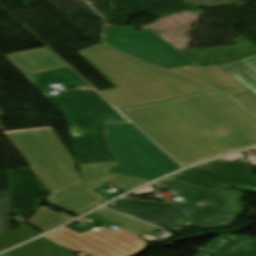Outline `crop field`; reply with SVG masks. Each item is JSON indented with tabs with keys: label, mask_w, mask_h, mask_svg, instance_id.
I'll list each match as a JSON object with an SVG mask.
<instances>
[{
	"label": "crop field",
	"mask_w": 256,
	"mask_h": 256,
	"mask_svg": "<svg viewBox=\"0 0 256 256\" xmlns=\"http://www.w3.org/2000/svg\"><path fill=\"white\" fill-rule=\"evenodd\" d=\"M5 133L54 193L81 184L74 161L51 127Z\"/></svg>",
	"instance_id": "obj_4"
},
{
	"label": "crop field",
	"mask_w": 256,
	"mask_h": 256,
	"mask_svg": "<svg viewBox=\"0 0 256 256\" xmlns=\"http://www.w3.org/2000/svg\"><path fill=\"white\" fill-rule=\"evenodd\" d=\"M12 229L8 192L0 193V233ZM1 251V249H0Z\"/></svg>",
	"instance_id": "obj_22"
},
{
	"label": "crop field",
	"mask_w": 256,
	"mask_h": 256,
	"mask_svg": "<svg viewBox=\"0 0 256 256\" xmlns=\"http://www.w3.org/2000/svg\"><path fill=\"white\" fill-rule=\"evenodd\" d=\"M171 70L179 75L188 79L207 85L217 91L234 96L248 89L240 82L230 77L216 64L206 67H184V68H171Z\"/></svg>",
	"instance_id": "obj_12"
},
{
	"label": "crop field",
	"mask_w": 256,
	"mask_h": 256,
	"mask_svg": "<svg viewBox=\"0 0 256 256\" xmlns=\"http://www.w3.org/2000/svg\"><path fill=\"white\" fill-rule=\"evenodd\" d=\"M4 57L24 76L67 66L47 48L5 55Z\"/></svg>",
	"instance_id": "obj_13"
},
{
	"label": "crop field",
	"mask_w": 256,
	"mask_h": 256,
	"mask_svg": "<svg viewBox=\"0 0 256 256\" xmlns=\"http://www.w3.org/2000/svg\"><path fill=\"white\" fill-rule=\"evenodd\" d=\"M47 236L75 253L85 251L93 256H130L147 245L123 229L111 232L104 227L82 234L64 227Z\"/></svg>",
	"instance_id": "obj_9"
},
{
	"label": "crop field",
	"mask_w": 256,
	"mask_h": 256,
	"mask_svg": "<svg viewBox=\"0 0 256 256\" xmlns=\"http://www.w3.org/2000/svg\"><path fill=\"white\" fill-rule=\"evenodd\" d=\"M107 144L121 165L110 170L153 180L181 167L131 123L105 126Z\"/></svg>",
	"instance_id": "obj_5"
},
{
	"label": "crop field",
	"mask_w": 256,
	"mask_h": 256,
	"mask_svg": "<svg viewBox=\"0 0 256 256\" xmlns=\"http://www.w3.org/2000/svg\"><path fill=\"white\" fill-rule=\"evenodd\" d=\"M233 99L239 103L247 112L256 117V95L251 91L243 92Z\"/></svg>",
	"instance_id": "obj_23"
},
{
	"label": "crop field",
	"mask_w": 256,
	"mask_h": 256,
	"mask_svg": "<svg viewBox=\"0 0 256 256\" xmlns=\"http://www.w3.org/2000/svg\"><path fill=\"white\" fill-rule=\"evenodd\" d=\"M153 191H152V189H151V187H150V185L149 186H147V187H145V188H143V189H140V190H138V191H136V192H133V193H131V194H139V193H152Z\"/></svg>",
	"instance_id": "obj_25"
},
{
	"label": "crop field",
	"mask_w": 256,
	"mask_h": 256,
	"mask_svg": "<svg viewBox=\"0 0 256 256\" xmlns=\"http://www.w3.org/2000/svg\"><path fill=\"white\" fill-rule=\"evenodd\" d=\"M123 66L141 82L167 100L208 90L203 86L174 76L136 59L124 63Z\"/></svg>",
	"instance_id": "obj_10"
},
{
	"label": "crop field",
	"mask_w": 256,
	"mask_h": 256,
	"mask_svg": "<svg viewBox=\"0 0 256 256\" xmlns=\"http://www.w3.org/2000/svg\"><path fill=\"white\" fill-rule=\"evenodd\" d=\"M105 42L162 68L197 66L147 26L143 27V32H136L133 27L107 26Z\"/></svg>",
	"instance_id": "obj_8"
},
{
	"label": "crop field",
	"mask_w": 256,
	"mask_h": 256,
	"mask_svg": "<svg viewBox=\"0 0 256 256\" xmlns=\"http://www.w3.org/2000/svg\"><path fill=\"white\" fill-rule=\"evenodd\" d=\"M120 111L183 166L256 144V119L213 91Z\"/></svg>",
	"instance_id": "obj_1"
},
{
	"label": "crop field",
	"mask_w": 256,
	"mask_h": 256,
	"mask_svg": "<svg viewBox=\"0 0 256 256\" xmlns=\"http://www.w3.org/2000/svg\"><path fill=\"white\" fill-rule=\"evenodd\" d=\"M95 213L138 236L161 230L105 208Z\"/></svg>",
	"instance_id": "obj_18"
},
{
	"label": "crop field",
	"mask_w": 256,
	"mask_h": 256,
	"mask_svg": "<svg viewBox=\"0 0 256 256\" xmlns=\"http://www.w3.org/2000/svg\"><path fill=\"white\" fill-rule=\"evenodd\" d=\"M38 235L40 234L29 226H22L20 228L0 234V248L2 250H6Z\"/></svg>",
	"instance_id": "obj_20"
},
{
	"label": "crop field",
	"mask_w": 256,
	"mask_h": 256,
	"mask_svg": "<svg viewBox=\"0 0 256 256\" xmlns=\"http://www.w3.org/2000/svg\"><path fill=\"white\" fill-rule=\"evenodd\" d=\"M221 68L256 94V55Z\"/></svg>",
	"instance_id": "obj_16"
},
{
	"label": "crop field",
	"mask_w": 256,
	"mask_h": 256,
	"mask_svg": "<svg viewBox=\"0 0 256 256\" xmlns=\"http://www.w3.org/2000/svg\"><path fill=\"white\" fill-rule=\"evenodd\" d=\"M171 177L177 178L179 180L191 183L193 185L209 188V189H228L230 186L219 183L217 181L208 179L206 177L200 176L198 174L192 173L190 171L184 170L178 174H175Z\"/></svg>",
	"instance_id": "obj_21"
},
{
	"label": "crop field",
	"mask_w": 256,
	"mask_h": 256,
	"mask_svg": "<svg viewBox=\"0 0 256 256\" xmlns=\"http://www.w3.org/2000/svg\"><path fill=\"white\" fill-rule=\"evenodd\" d=\"M154 185L158 192L168 188L174 196L180 197L181 201L190 203L166 204L121 198L113 203L165 209L116 204L106 207L174 233L183 229V221L179 214L166 208L180 212L185 218V226L199 228H218L232 224L242 209L238 202L244 193L203 190L170 177Z\"/></svg>",
	"instance_id": "obj_2"
},
{
	"label": "crop field",
	"mask_w": 256,
	"mask_h": 256,
	"mask_svg": "<svg viewBox=\"0 0 256 256\" xmlns=\"http://www.w3.org/2000/svg\"><path fill=\"white\" fill-rule=\"evenodd\" d=\"M227 185H234L256 191L254 169L223 159L187 169Z\"/></svg>",
	"instance_id": "obj_11"
},
{
	"label": "crop field",
	"mask_w": 256,
	"mask_h": 256,
	"mask_svg": "<svg viewBox=\"0 0 256 256\" xmlns=\"http://www.w3.org/2000/svg\"><path fill=\"white\" fill-rule=\"evenodd\" d=\"M71 219L60 215L54 211H51L43 206L36 210L32 217L29 219V223L36 227L41 232L45 233L55 227H58Z\"/></svg>",
	"instance_id": "obj_19"
},
{
	"label": "crop field",
	"mask_w": 256,
	"mask_h": 256,
	"mask_svg": "<svg viewBox=\"0 0 256 256\" xmlns=\"http://www.w3.org/2000/svg\"><path fill=\"white\" fill-rule=\"evenodd\" d=\"M118 161L78 165L83 185L55 194L47 204L75 215H81L109 200L92 190L110 182L126 191L149 182L140 178L108 172Z\"/></svg>",
	"instance_id": "obj_7"
},
{
	"label": "crop field",
	"mask_w": 256,
	"mask_h": 256,
	"mask_svg": "<svg viewBox=\"0 0 256 256\" xmlns=\"http://www.w3.org/2000/svg\"><path fill=\"white\" fill-rule=\"evenodd\" d=\"M96 93L79 90L47 97L67 118L78 164L116 160L106 145L104 125L129 122Z\"/></svg>",
	"instance_id": "obj_3"
},
{
	"label": "crop field",
	"mask_w": 256,
	"mask_h": 256,
	"mask_svg": "<svg viewBox=\"0 0 256 256\" xmlns=\"http://www.w3.org/2000/svg\"><path fill=\"white\" fill-rule=\"evenodd\" d=\"M88 217H90V218H92V219H94V220H96V221H98V222H100V223H102V224H104L106 226L114 224V223H112V222H110V221H108V220H106V219H104V218L94 214V213L89 215Z\"/></svg>",
	"instance_id": "obj_24"
},
{
	"label": "crop field",
	"mask_w": 256,
	"mask_h": 256,
	"mask_svg": "<svg viewBox=\"0 0 256 256\" xmlns=\"http://www.w3.org/2000/svg\"><path fill=\"white\" fill-rule=\"evenodd\" d=\"M26 78L40 91L50 90L46 85L49 83H61L64 89H70L71 86L75 85L80 88H91L69 67L27 76Z\"/></svg>",
	"instance_id": "obj_15"
},
{
	"label": "crop field",
	"mask_w": 256,
	"mask_h": 256,
	"mask_svg": "<svg viewBox=\"0 0 256 256\" xmlns=\"http://www.w3.org/2000/svg\"><path fill=\"white\" fill-rule=\"evenodd\" d=\"M89 61L117 89L101 93L117 108L165 101L141 83L121 64L132 59L103 44L77 52Z\"/></svg>",
	"instance_id": "obj_6"
},
{
	"label": "crop field",
	"mask_w": 256,
	"mask_h": 256,
	"mask_svg": "<svg viewBox=\"0 0 256 256\" xmlns=\"http://www.w3.org/2000/svg\"><path fill=\"white\" fill-rule=\"evenodd\" d=\"M6 254L9 256H73L44 237L7 252Z\"/></svg>",
	"instance_id": "obj_17"
},
{
	"label": "crop field",
	"mask_w": 256,
	"mask_h": 256,
	"mask_svg": "<svg viewBox=\"0 0 256 256\" xmlns=\"http://www.w3.org/2000/svg\"><path fill=\"white\" fill-rule=\"evenodd\" d=\"M256 241L245 236L221 235L198 250L195 256H256Z\"/></svg>",
	"instance_id": "obj_14"
}]
</instances>
